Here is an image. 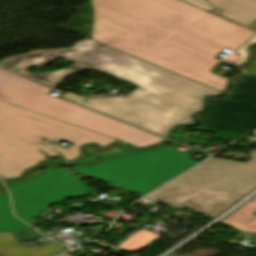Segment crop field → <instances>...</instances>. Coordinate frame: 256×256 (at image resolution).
<instances>
[{"mask_svg":"<svg viewBox=\"0 0 256 256\" xmlns=\"http://www.w3.org/2000/svg\"><path fill=\"white\" fill-rule=\"evenodd\" d=\"M92 40L223 91L215 54L235 51L256 33L179 0H91Z\"/></svg>","mask_w":256,"mask_h":256,"instance_id":"crop-field-1","label":"crop field"},{"mask_svg":"<svg viewBox=\"0 0 256 256\" xmlns=\"http://www.w3.org/2000/svg\"><path fill=\"white\" fill-rule=\"evenodd\" d=\"M58 57L75 64L37 76L25 71L32 65L41 68ZM0 66L51 87L68 74L85 68L131 82L140 88L127 95L93 96L81 105L163 137L173 126L193 122L191 115L202 109L206 95L219 94L215 89L92 40L77 42L72 49L36 50L18 55L1 61Z\"/></svg>","mask_w":256,"mask_h":256,"instance_id":"crop-field-2","label":"crop field"},{"mask_svg":"<svg viewBox=\"0 0 256 256\" xmlns=\"http://www.w3.org/2000/svg\"><path fill=\"white\" fill-rule=\"evenodd\" d=\"M54 138L74 144L67 150L55 147L68 161L81 155L79 147L85 143L106 147L117 141L0 101V170L6 179L18 177L26 168L45 160L37 149L50 158L59 155L47 144Z\"/></svg>","mask_w":256,"mask_h":256,"instance_id":"crop-field-3","label":"crop field"},{"mask_svg":"<svg viewBox=\"0 0 256 256\" xmlns=\"http://www.w3.org/2000/svg\"><path fill=\"white\" fill-rule=\"evenodd\" d=\"M251 154L248 163L211 158L146 197L212 218L256 187V152Z\"/></svg>","mask_w":256,"mask_h":256,"instance_id":"crop-field-4","label":"crop field"},{"mask_svg":"<svg viewBox=\"0 0 256 256\" xmlns=\"http://www.w3.org/2000/svg\"><path fill=\"white\" fill-rule=\"evenodd\" d=\"M85 152L98 153L100 159L71 170L142 195L198 162L190 159L192 155L166 146L135 152H126L117 145L105 152L86 147Z\"/></svg>","mask_w":256,"mask_h":256,"instance_id":"crop-field-5","label":"crop field"},{"mask_svg":"<svg viewBox=\"0 0 256 256\" xmlns=\"http://www.w3.org/2000/svg\"><path fill=\"white\" fill-rule=\"evenodd\" d=\"M51 89L0 68V100L57 120L121 139L133 146L152 145L163 139L101 114L51 97Z\"/></svg>","mask_w":256,"mask_h":256,"instance_id":"crop-field-6","label":"crop field"},{"mask_svg":"<svg viewBox=\"0 0 256 256\" xmlns=\"http://www.w3.org/2000/svg\"><path fill=\"white\" fill-rule=\"evenodd\" d=\"M209 108L200 114V125L186 130L216 132L214 138L235 140L256 129V75L234 81L224 97L207 101Z\"/></svg>","mask_w":256,"mask_h":256,"instance_id":"crop-field-7","label":"crop field"},{"mask_svg":"<svg viewBox=\"0 0 256 256\" xmlns=\"http://www.w3.org/2000/svg\"><path fill=\"white\" fill-rule=\"evenodd\" d=\"M15 216L28 223L51 204L93 192L74 175L58 167L26 183L6 186Z\"/></svg>","mask_w":256,"mask_h":256,"instance_id":"crop-field-8","label":"crop field"},{"mask_svg":"<svg viewBox=\"0 0 256 256\" xmlns=\"http://www.w3.org/2000/svg\"><path fill=\"white\" fill-rule=\"evenodd\" d=\"M221 14L256 30V0H208Z\"/></svg>","mask_w":256,"mask_h":256,"instance_id":"crop-field-9","label":"crop field"},{"mask_svg":"<svg viewBox=\"0 0 256 256\" xmlns=\"http://www.w3.org/2000/svg\"><path fill=\"white\" fill-rule=\"evenodd\" d=\"M64 251L67 249L54 241L43 247H22L12 233L0 234V256H54Z\"/></svg>","mask_w":256,"mask_h":256,"instance_id":"crop-field-10","label":"crop field"},{"mask_svg":"<svg viewBox=\"0 0 256 256\" xmlns=\"http://www.w3.org/2000/svg\"><path fill=\"white\" fill-rule=\"evenodd\" d=\"M251 199L255 201L244 204L221 223L237 228L241 232L256 233V216L250 215L256 211V195Z\"/></svg>","mask_w":256,"mask_h":256,"instance_id":"crop-field-11","label":"crop field"},{"mask_svg":"<svg viewBox=\"0 0 256 256\" xmlns=\"http://www.w3.org/2000/svg\"><path fill=\"white\" fill-rule=\"evenodd\" d=\"M31 230L11 213L8 194L0 195V233Z\"/></svg>","mask_w":256,"mask_h":256,"instance_id":"crop-field-12","label":"crop field"},{"mask_svg":"<svg viewBox=\"0 0 256 256\" xmlns=\"http://www.w3.org/2000/svg\"><path fill=\"white\" fill-rule=\"evenodd\" d=\"M184 1H187L193 5L203 8L207 11L214 10V8H212L210 5H208L204 0H184Z\"/></svg>","mask_w":256,"mask_h":256,"instance_id":"crop-field-13","label":"crop field"},{"mask_svg":"<svg viewBox=\"0 0 256 256\" xmlns=\"http://www.w3.org/2000/svg\"><path fill=\"white\" fill-rule=\"evenodd\" d=\"M92 94H94V93H91L90 95H88V96L82 98V97H80V96H78V95H76V94H74V93L68 92L64 97H65L66 99H68V100H71V101H73V102H75V103H78V102L84 100L85 98L91 96Z\"/></svg>","mask_w":256,"mask_h":256,"instance_id":"crop-field-14","label":"crop field"},{"mask_svg":"<svg viewBox=\"0 0 256 256\" xmlns=\"http://www.w3.org/2000/svg\"><path fill=\"white\" fill-rule=\"evenodd\" d=\"M49 166H50V167L47 168V170H45V171H43V172L40 171V172L36 173L34 176H32V177H30V178H28V179H26V180H24V181L16 182V183L26 182V181H28V180H30V179H33V178H35V177H37V176H39V175H41V174H43V173H46V172H48V171H50V170H52V169L58 167V165H56L55 163H49ZM9 184H15V183H7L6 185H9Z\"/></svg>","mask_w":256,"mask_h":256,"instance_id":"crop-field-15","label":"crop field"},{"mask_svg":"<svg viewBox=\"0 0 256 256\" xmlns=\"http://www.w3.org/2000/svg\"><path fill=\"white\" fill-rule=\"evenodd\" d=\"M255 54H254V63L249 65L248 67L242 69L244 71H249L251 74H256V46L253 47Z\"/></svg>","mask_w":256,"mask_h":256,"instance_id":"crop-field-16","label":"crop field"},{"mask_svg":"<svg viewBox=\"0 0 256 256\" xmlns=\"http://www.w3.org/2000/svg\"><path fill=\"white\" fill-rule=\"evenodd\" d=\"M47 222V220H43V219H38V218H35L34 220H32L30 223V225H40V224H43Z\"/></svg>","mask_w":256,"mask_h":256,"instance_id":"crop-field-17","label":"crop field"},{"mask_svg":"<svg viewBox=\"0 0 256 256\" xmlns=\"http://www.w3.org/2000/svg\"><path fill=\"white\" fill-rule=\"evenodd\" d=\"M0 193H7L6 190H0Z\"/></svg>","mask_w":256,"mask_h":256,"instance_id":"crop-field-18","label":"crop field"},{"mask_svg":"<svg viewBox=\"0 0 256 256\" xmlns=\"http://www.w3.org/2000/svg\"><path fill=\"white\" fill-rule=\"evenodd\" d=\"M62 256H70V255H68V254H65V255H62Z\"/></svg>","mask_w":256,"mask_h":256,"instance_id":"crop-field-19","label":"crop field"},{"mask_svg":"<svg viewBox=\"0 0 256 256\" xmlns=\"http://www.w3.org/2000/svg\"><path fill=\"white\" fill-rule=\"evenodd\" d=\"M0 178H1V176H0Z\"/></svg>","mask_w":256,"mask_h":256,"instance_id":"crop-field-20","label":"crop field"}]
</instances>
